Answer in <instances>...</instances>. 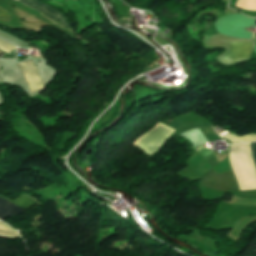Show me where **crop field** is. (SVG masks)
I'll list each match as a JSON object with an SVG mask.
<instances>
[{
	"label": "crop field",
	"mask_w": 256,
	"mask_h": 256,
	"mask_svg": "<svg viewBox=\"0 0 256 256\" xmlns=\"http://www.w3.org/2000/svg\"><path fill=\"white\" fill-rule=\"evenodd\" d=\"M168 128L158 123L150 132L141 136L134 145L145 153L153 155L160 145L175 131Z\"/></svg>",
	"instance_id": "obj_2"
},
{
	"label": "crop field",
	"mask_w": 256,
	"mask_h": 256,
	"mask_svg": "<svg viewBox=\"0 0 256 256\" xmlns=\"http://www.w3.org/2000/svg\"><path fill=\"white\" fill-rule=\"evenodd\" d=\"M0 49L9 54L11 51L15 49V47L0 40Z\"/></svg>",
	"instance_id": "obj_9"
},
{
	"label": "crop field",
	"mask_w": 256,
	"mask_h": 256,
	"mask_svg": "<svg viewBox=\"0 0 256 256\" xmlns=\"http://www.w3.org/2000/svg\"><path fill=\"white\" fill-rule=\"evenodd\" d=\"M224 138L228 139L231 143L256 141V134L246 135L242 137H237L232 134H228L224 136Z\"/></svg>",
	"instance_id": "obj_7"
},
{
	"label": "crop field",
	"mask_w": 256,
	"mask_h": 256,
	"mask_svg": "<svg viewBox=\"0 0 256 256\" xmlns=\"http://www.w3.org/2000/svg\"><path fill=\"white\" fill-rule=\"evenodd\" d=\"M244 145L256 180V143H251L255 165L250 143H246ZM244 145L241 144L230 146V153L228 155L229 161L231 164L232 171L237 179L239 190L256 189V183L247 159Z\"/></svg>",
	"instance_id": "obj_1"
},
{
	"label": "crop field",
	"mask_w": 256,
	"mask_h": 256,
	"mask_svg": "<svg viewBox=\"0 0 256 256\" xmlns=\"http://www.w3.org/2000/svg\"><path fill=\"white\" fill-rule=\"evenodd\" d=\"M230 50L219 58L223 64L230 65L237 62L247 61L255 43L227 42ZM251 44L253 46H251Z\"/></svg>",
	"instance_id": "obj_3"
},
{
	"label": "crop field",
	"mask_w": 256,
	"mask_h": 256,
	"mask_svg": "<svg viewBox=\"0 0 256 256\" xmlns=\"http://www.w3.org/2000/svg\"><path fill=\"white\" fill-rule=\"evenodd\" d=\"M11 203L17 205L18 207H20L24 210L31 206L39 204L33 198L27 197L25 195H22L21 197L13 200ZM11 203L0 198V219L14 216V215L24 211Z\"/></svg>",
	"instance_id": "obj_4"
},
{
	"label": "crop field",
	"mask_w": 256,
	"mask_h": 256,
	"mask_svg": "<svg viewBox=\"0 0 256 256\" xmlns=\"http://www.w3.org/2000/svg\"><path fill=\"white\" fill-rule=\"evenodd\" d=\"M17 65L23 72L31 93L43 87V82L41 81L38 71L31 60L17 63Z\"/></svg>",
	"instance_id": "obj_5"
},
{
	"label": "crop field",
	"mask_w": 256,
	"mask_h": 256,
	"mask_svg": "<svg viewBox=\"0 0 256 256\" xmlns=\"http://www.w3.org/2000/svg\"><path fill=\"white\" fill-rule=\"evenodd\" d=\"M5 10V9H4ZM0 8V21H10V14Z\"/></svg>",
	"instance_id": "obj_10"
},
{
	"label": "crop field",
	"mask_w": 256,
	"mask_h": 256,
	"mask_svg": "<svg viewBox=\"0 0 256 256\" xmlns=\"http://www.w3.org/2000/svg\"><path fill=\"white\" fill-rule=\"evenodd\" d=\"M0 229L2 230H11L15 231L13 228L4 225L3 223L0 222ZM0 230V235L1 236H8V237H14V238H21L20 235L17 232H11V231H2Z\"/></svg>",
	"instance_id": "obj_8"
},
{
	"label": "crop field",
	"mask_w": 256,
	"mask_h": 256,
	"mask_svg": "<svg viewBox=\"0 0 256 256\" xmlns=\"http://www.w3.org/2000/svg\"><path fill=\"white\" fill-rule=\"evenodd\" d=\"M19 1L40 10L41 12L49 15L50 17H52L59 23L63 24L67 28H70V25L68 24V22L65 21L64 16L62 15V13L59 10H57L47 4L39 3V2H36L33 0H19Z\"/></svg>",
	"instance_id": "obj_6"
}]
</instances>
